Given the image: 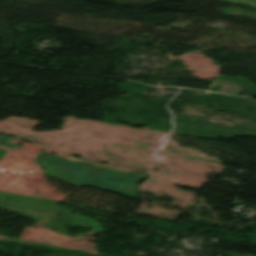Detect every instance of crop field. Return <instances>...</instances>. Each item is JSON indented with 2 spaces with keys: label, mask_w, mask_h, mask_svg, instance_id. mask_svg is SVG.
<instances>
[{
  "label": "crop field",
  "mask_w": 256,
  "mask_h": 256,
  "mask_svg": "<svg viewBox=\"0 0 256 256\" xmlns=\"http://www.w3.org/2000/svg\"><path fill=\"white\" fill-rule=\"evenodd\" d=\"M44 167V175L76 186H91L98 189L138 197V183L147 175L134 172L114 171L82 162L64 160L46 151L34 161Z\"/></svg>",
  "instance_id": "1"
},
{
  "label": "crop field",
  "mask_w": 256,
  "mask_h": 256,
  "mask_svg": "<svg viewBox=\"0 0 256 256\" xmlns=\"http://www.w3.org/2000/svg\"><path fill=\"white\" fill-rule=\"evenodd\" d=\"M0 145L4 146V147L12 148V149H17L19 147V146L13 145V144H9L5 140H0ZM5 154H7L6 150L0 149V159Z\"/></svg>",
  "instance_id": "2"
},
{
  "label": "crop field",
  "mask_w": 256,
  "mask_h": 256,
  "mask_svg": "<svg viewBox=\"0 0 256 256\" xmlns=\"http://www.w3.org/2000/svg\"><path fill=\"white\" fill-rule=\"evenodd\" d=\"M0 138H4V139H11V138H9V137H3V136H0Z\"/></svg>",
  "instance_id": "3"
}]
</instances>
